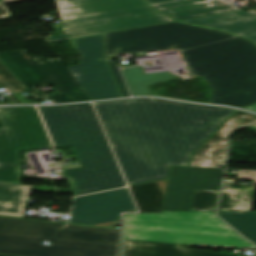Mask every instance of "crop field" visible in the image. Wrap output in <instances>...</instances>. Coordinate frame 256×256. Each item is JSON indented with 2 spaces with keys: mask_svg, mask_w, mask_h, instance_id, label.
Listing matches in <instances>:
<instances>
[{
  "mask_svg": "<svg viewBox=\"0 0 256 256\" xmlns=\"http://www.w3.org/2000/svg\"><path fill=\"white\" fill-rule=\"evenodd\" d=\"M10 16L5 4H0V18Z\"/></svg>",
  "mask_w": 256,
  "mask_h": 256,
  "instance_id": "crop-field-23",
  "label": "crop field"
},
{
  "mask_svg": "<svg viewBox=\"0 0 256 256\" xmlns=\"http://www.w3.org/2000/svg\"><path fill=\"white\" fill-rule=\"evenodd\" d=\"M242 109H246V110H250V111H254V112H256V105L249 106V107L242 108Z\"/></svg>",
  "mask_w": 256,
  "mask_h": 256,
  "instance_id": "crop-field-24",
  "label": "crop field"
},
{
  "mask_svg": "<svg viewBox=\"0 0 256 256\" xmlns=\"http://www.w3.org/2000/svg\"><path fill=\"white\" fill-rule=\"evenodd\" d=\"M224 169L198 168L194 189L219 190Z\"/></svg>",
  "mask_w": 256,
  "mask_h": 256,
  "instance_id": "crop-field-20",
  "label": "crop field"
},
{
  "mask_svg": "<svg viewBox=\"0 0 256 256\" xmlns=\"http://www.w3.org/2000/svg\"><path fill=\"white\" fill-rule=\"evenodd\" d=\"M0 256H4V255H0Z\"/></svg>",
  "mask_w": 256,
  "mask_h": 256,
  "instance_id": "crop-field-28",
  "label": "crop field"
},
{
  "mask_svg": "<svg viewBox=\"0 0 256 256\" xmlns=\"http://www.w3.org/2000/svg\"><path fill=\"white\" fill-rule=\"evenodd\" d=\"M172 49L182 51L188 71L205 78L213 93L210 103L238 108L256 103V46L229 33L178 22L106 34V61L122 96L129 93L109 58Z\"/></svg>",
  "mask_w": 256,
  "mask_h": 256,
  "instance_id": "crop-field-2",
  "label": "crop field"
},
{
  "mask_svg": "<svg viewBox=\"0 0 256 256\" xmlns=\"http://www.w3.org/2000/svg\"><path fill=\"white\" fill-rule=\"evenodd\" d=\"M214 213L123 215V256H234L184 249L180 244L256 249Z\"/></svg>",
  "mask_w": 256,
  "mask_h": 256,
  "instance_id": "crop-field-3",
  "label": "crop field"
},
{
  "mask_svg": "<svg viewBox=\"0 0 256 256\" xmlns=\"http://www.w3.org/2000/svg\"><path fill=\"white\" fill-rule=\"evenodd\" d=\"M0 77L16 92H26L28 89L20 82V80L8 69V67L0 60Z\"/></svg>",
  "mask_w": 256,
  "mask_h": 256,
  "instance_id": "crop-field-22",
  "label": "crop field"
},
{
  "mask_svg": "<svg viewBox=\"0 0 256 256\" xmlns=\"http://www.w3.org/2000/svg\"><path fill=\"white\" fill-rule=\"evenodd\" d=\"M219 191L194 190L190 211H215Z\"/></svg>",
  "mask_w": 256,
  "mask_h": 256,
  "instance_id": "crop-field-21",
  "label": "crop field"
},
{
  "mask_svg": "<svg viewBox=\"0 0 256 256\" xmlns=\"http://www.w3.org/2000/svg\"><path fill=\"white\" fill-rule=\"evenodd\" d=\"M167 181L168 179L130 187L141 213L162 212Z\"/></svg>",
  "mask_w": 256,
  "mask_h": 256,
  "instance_id": "crop-field-17",
  "label": "crop field"
},
{
  "mask_svg": "<svg viewBox=\"0 0 256 256\" xmlns=\"http://www.w3.org/2000/svg\"><path fill=\"white\" fill-rule=\"evenodd\" d=\"M0 182L18 183V150L52 147L35 107L0 109Z\"/></svg>",
  "mask_w": 256,
  "mask_h": 256,
  "instance_id": "crop-field-7",
  "label": "crop field"
},
{
  "mask_svg": "<svg viewBox=\"0 0 256 256\" xmlns=\"http://www.w3.org/2000/svg\"><path fill=\"white\" fill-rule=\"evenodd\" d=\"M0 59L37 100H47L35 87L52 84L53 103L90 100L59 59L31 57L24 50L0 52Z\"/></svg>",
  "mask_w": 256,
  "mask_h": 256,
  "instance_id": "crop-field-8",
  "label": "crop field"
},
{
  "mask_svg": "<svg viewBox=\"0 0 256 256\" xmlns=\"http://www.w3.org/2000/svg\"><path fill=\"white\" fill-rule=\"evenodd\" d=\"M62 24L54 26L55 42L100 33L172 22L142 0H58Z\"/></svg>",
  "mask_w": 256,
  "mask_h": 256,
  "instance_id": "crop-field-6",
  "label": "crop field"
},
{
  "mask_svg": "<svg viewBox=\"0 0 256 256\" xmlns=\"http://www.w3.org/2000/svg\"><path fill=\"white\" fill-rule=\"evenodd\" d=\"M32 186L0 183V216L23 218Z\"/></svg>",
  "mask_w": 256,
  "mask_h": 256,
  "instance_id": "crop-field-16",
  "label": "crop field"
},
{
  "mask_svg": "<svg viewBox=\"0 0 256 256\" xmlns=\"http://www.w3.org/2000/svg\"><path fill=\"white\" fill-rule=\"evenodd\" d=\"M94 104L130 185L167 178L171 165L186 166L235 111L153 98Z\"/></svg>",
  "mask_w": 256,
  "mask_h": 256,
  "instance_id": "crop-field-1",
  "label": "crop field"
},
{
  "mask_svg": "<svg viewBox=\"0 0 256 256\" xmlns=\"http://www.w3.org/2000/svg\"><path fill=\"white\" fill-rule=\"evenodd\" d=\"M181 22L230 32L256 43V14L238 11Z\"/></svg>",
  "mask_w": 256,
  "mask_h": 256,
  "instance_id": "crop-field-14",
  "label": "crop field"
},
{
  "mask_svg": "<svg viewBox=\"0 0 256 256\" xmlns=\"http://www.w3.org/2000/svg\"><path fill=\"white\" fill-rule=\"evenodd\" d=\"M244 11H248V12L256 13V9H250V10H244Z\"/></svg>",
  "mask_w": 256,
  "mask_h": 256,
  "instance_id": "crop-field-26",
  "label": "crop field"
},
{
  "mask_svg": "<svg viewBox=\"0 0 256 256\" xmlns=\"http://www.w3.org/2000/svg\"><path fill=\"white\" fill-rule=\"evenodd\" d=\"M237 179H254L253 188L231 189L224 185L218 211H250L256 186V171L238 170Z\"/></svg>",
  "mask_w": 256,
  "mask_h": 256,
  "instance_id": "crop-field-15",
  "label": "crop field"
},
{
  "mask_svg": "<svg viewBox=\"0 0 256 256\" xmlns=\"http://www.w3.org/2000/svg\"><path fill=\"white\" fill-rule=\"evenodd\" d=\"M127 189L92 194L74 199L69 223L111 227L121 212H135Z\"/></svg>",
  "mask_w": 256,
  "mask_h": 256,
  "instance_id": "crop-field-10",
  "label": "crop field"
},
{
  "mask_svg": "<svg viewBox=\"0 0 256 256\" xmlns=\"http://www.w3.org/2000/svg\"><path fill=\"white\" fill-rule=\"evenodd\" d=\"M69 42L82 52V58L80 65L67 69L90 99L120 97L103 61V34L71 39Z\"/></svg>",
  "mask_w": 256,
  "mask_h": 256,
  "instance_id": "crop-field-9",
  "label": "crop field"
},
{
  "mask_svg": "<svg viewBox=\"0 0 256 256\" xmlns=\"http://www.w3.org/2000/svg\"><path fill=\"white\" fill-rule=\"evenodd\" d=\"M256 122V116L237 111L193 156L189 166L224 168L231 132Z\"/></svg>",
  "mask_w": 256,
  "mask_h": 256,
  "instance_id": "crop-field-11",
  "label": "crop field"
},
{
  "mask_svg": "<svg viewBox=\"0 0 256 256\" xmlns=\"http://www.w3.org/2000/svg\"><path fill=\"white\" fill-rule=\"evenodd\" d=\"M38 108L54 146H72L82 165L64 171L75 196L126 185L90 103Z\"/></svg>",
  "mask_w": 256,
  "mask_h": 256,
  "instance_id": "crop-field-4",
  "label": "crop field"
},
{
  "mask_svg": "<svg viewBox=\"0 0 256 256\" xmlns=\"http://www.w3.org/2000/svg\"><path fill=\"white\" fill-rule=\"evenodd\" d=\"M0 254L120 256V230L0 217Z\"/></svg>",
  "mask_w": 256,
  "mask_h": 256,
  "instance_id": "crop-field-5",
  "label": "crop field"
},
{
  "mask_svg": "<svg viewBox=\"0 0 256 256\" xmlns=\"http://www.w3.org/2000/svg\"><path fill=\"white\" fill-rule=\"evenodd\" d=\"M133 96L151 95L147 86L177 77L168 72L145 74L140 66L122 70Z\"/></svg>",
  "mask_w": 256,
  "mask_h": 256,
  "instance_id": "crop-field-18",
  "label": "crop field"
},
{
  "mask_svg": "<svg viewBox=\"0 0 256 256\" xmlns=\"http://www.w3.org/2000/svg\"><path fill=\"white\" fill-rule=\"evenodd\" d=\"M197 168L172 167L163 211H189Z\"/></svg>",
  "mask_w": 256,
  "mask_h": 256,
  "instance_id": "crop-field-13",
  "label": "crop field"
},
{
  "mask_svg": "<svg viewBox=\"0 0 256 256\" xmlns=\"http://www.w3.org/2000/svg\"><path fill=\"white\" fill-rule=\"evenodd\" d=\"M7 84L0 78V86H6Z\"/></svg>",
  "mask_w": 256,
  "mask_h": 256,
  "instance_id": "crop-field-25",
  "label": "crop field"
},
{
  "mask_svg": "<svg viewBox=\"0 0 256 256\" xmlns=\"http://www.w3.org/2000/svg\"><path fill=\"white\" fill-rule=\"evenodd\" d=\"M230 225L256 244V213L218 212Z\"/></svg>",
  "mask_w": 256,
  "mask_h": 256,
  "instance_id": "crop-field-19",
  "label": "crop field"
},
{
  "mask_svg": "<svg viewBox=\"0 0 256 256\" xmlns=\"http://www.w3.org/2000/svg\"><path fill=\"white\" fill-rule=\"evenodd\" d=\"M2 1H6V0H2Z\"/></svg>",
  "mask_w": 256,
  "mask_h": 256,
  "instance_id": "crop-field-27",
  "label": "crop field"
},
{
  "mask_svg": "<svg viewBox=\"0 0 256 256\" xmlns=\"http://www.w3.org/2000/svg\"><path fill=\"white\" fill-rule=\"evenodd\" d=\"M157 11L177 21L238 11L225 0H146Z\"/></svg>",
  "mask_w": 256,
  "mask_h": 256,
  "instance_id": "crop-field-12",
  "label": "crop field"
}]
</instances>
